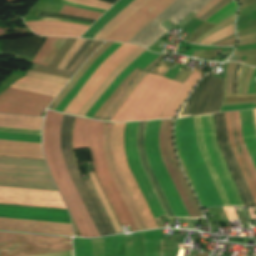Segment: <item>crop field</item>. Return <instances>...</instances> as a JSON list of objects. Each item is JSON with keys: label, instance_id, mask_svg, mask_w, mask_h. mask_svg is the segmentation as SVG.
I'll return each mask as SVG.
<instances>
[{"label": "crop field", "instance_id": "crop-field-53", "mask_svg": "<svg viewBox=\"0 0 256 256\" xmlns=\"http://www.w3.org/2000/svg\"><path fill=\"white\" fill-rule=\"evenodd\" d=\"M256 101H251V102H240V103H223V105H235V104H243V103H252Z\"/></svg>", "mask_w": 256, "mask_h": 256}, {"label": "crop field", "instance_id": "crop-field-44", "mask_svg": "<svg viewBox=\"0 0 256 256\" xmlns=\"http://www.w3.org/2000/svg\"><path fill=\"white\" fill-rule=\"evenodd\" d=\"M233 0H221L219 3H217L211 10H209L205 15H203L200 20L205 21L208 19L211 15H213L216 11L224 7L226 4L231 2Z\"/></svg>", "mask_w": 256, "mask_h": 256}, {"label": "crop field", "instance_id": "crop-field-34", "mask_svg": "<svg viewBox=\"0 0 256 256\" xmlns=\"http://www.w3.org/2000/svg\"><path fill=\"white\" fill-rule=\"evenodd\" d=\"M59 13L80 16V17H86V18H90V19H94V20H97L102 15L101 13L87 11V10L69 7V6H65V5H63V8Z\"/></svg>", "mask_w": 256, "mask_h": 256}, {"label": "crop field", "instance_id": "crop-field-55", "mask_svg": "<svg viewBox=\"0 0 256 256\" xmlns=\"http://www.w3.org/2000/svg\"><path fill=\"white\" fill-rule=\"evenodd\" d=\"M234 36V35H233ZM233 36H231V37H233ZM229 38V37H228ZM227 39V38H226ZM223 40H225V39H223ZM223 40H220V41H223ZM219 42V41H218ZM217 43V42H216ZM215 44V43H214ZM213 45V44H212Z\"/></svg>", "mask_w": 256, "mask_h": 256}, {"label": "crop field", "instance_id": "crop-field-4", "mask_svg": "<svg viewBox=\"0 0 256 256\" xmlns=\"http://www.w3.org/2000/svg\"><path fill=\"white\" fill-rule=\"evenodd\" d=\"M180 85V83L148 73L110 121L156 119Z\"/></svg>", "mask_w": 256, "mask_h": 256}, {"label": "crop field", "instance_id": "crop-field-10", "mask_svg": "<svg viewBox=\"0 0 256 256\" xmlns=\"http://www.w3.org/2000/svg\"><path fill=\"white\" fill-rule=\"evenodd\" d=\"M173 120H162L159 133V147L163 164L190 217L202 216L174 159L171 147V127Z\"/></svg>", "mask_w": 256, "mask_h": 256}, {"label": "crop field", "instance_id": "crop-field-37", "mask_svg": "<svg viewBox=\"0 0 256 256\" xmlns=\"http://www.w3.org/2000/svg\"><path fill=\"white\" fill-rule=\"evenodd\" d=\"M0 139L41 143V136H36V135L0 132Z\"/></svg>", "mask_w": 256, "mask_h": 256}, {"label": "crop field", "instance_id": "crop-field-21", "mask_svg": "<svg viewBox=\"0 0 256 256\" xmlns=\"http://www.w3.org/2000/svg\"><path fill=\"white\" fill-rule=\"evenodd\" d=\"M201 76H203V74L193 70L189 78L185 80L173 95L161 115L159 114L160 116L158 118H174L176 111L179 109Z\"/></svg>", "mask_w": 256, "mask_h": 256}, {"label": "crop field", "instance_id": "crop-field-5", "mask_svg": "<svg viewBox=\"0 0 256 256\" xmlns=\"http://www.w3.org/2000/svg\"><path fill=\"white\" fill-rule=\"evenodd\" d=\"M198 147L224 206H244L220 149L217 145L213 116L194 117Z\"/></svg>", "mask_w": 256, "mask_h": 256}, {"label": "crop field", "instance_id": "crop-field-22", "mask_svg": "<svg viewBox=\"0 0 256 256\" xmlns=\"http://www.w3.org/2000/svg\"><path fill=\"white\" fill-rule=\"evenodd\" d=\"M0 155L44 159L41 144L0 140Z\"/></svg>", "mask_w": 256, "mask_h": 256}, {"label": "crop field", "instance_id": "crop-field-38", "mask_svg": "<svg viewBox=\"0 0 256 256\" xmlns=\"http://www.w3.org/2000/svg\"><path fill=\"white\" fill-rule=\"evenodd\" d=\"M76 39L67 38L57 55L54 57L52 62L49 64L50 67L57 68L60 60L65 55V53L68 51V49L71 47V45L75 42Z\"/></svg>", "mask_w": 256, "mask_h": 256}, {"label": "crop field", "instance_id": "crop-field-20", "mask_svg": "<svg viewBox=\"0 0 256 256\" xmlns=\"http://www.w3.org/2000/svg\"><path fill=\"white\" fill-rule=\"evenodd\" d=\"M159 54H153L147 50L142 53L138 58H136L130 65H128L124 71L117 77V79L109 86V88L102 94V96L97 100V102L91 107L85 117L92 118L93 114L98 110V108L105 102V100L112 94V92L117 88L120 82L136 67L144 69L149 63H151Z\"/></svg>", "mask_w": 256, "mask_h": 256}, {"label": "crop field", "instance_id": "crop-field-45", "mask_svg": "<svg viewBox=\"0 0 256 256\" xmlns=\"http://www.w3.org/2000/svg\"><path fill=\"white\" fill-rule=\"evenodd\" d=\"M236 63H231L228 69V75L226 79V88H225V94H231V80H232V75L234 71Z\"/></svg>", "mask_w": 256, "mask_h": 256}, {"label": "crop field", "instance_id": "crop-field-27", "mask_svg": "<svg viewBox=\"0 0 256 256\" xmlns=\"http://www.w3.org/2000/svg\"><path fill=\"white\" fill-rule=\"evenodd\" d=\"M43 118L0 114V127L41 130Z\"/></svg>", "mask_w": 256, "mask_h": 256}, {"label": "crop field", "instance_id": "crop-field-7", "mask_svg": "<svg viewBox=\"0 0 256 256\" xmlns=\"http://www.w3.org/2000/svg\"><path fill=\"white\" fill-rule=\"evenodd\" d=\"M244 141L256 167V130L253 110L239 111ZM238 111L225 113L229 143L256 202V169L243 141Z\"/></svg>", "mask_w": 256, "mask_h": 256}, {"label": "crop field", "instance_id": "crop-field-46", "mask_svg": "<svg viewBox=\"0 0 256 256\" xmlns=\"http://www.w3.org/2000/svg\"><path fill=\"white\" fill-rule=\"evenodd\" d=\"M255 104L256 103L235 105V106H222L221 111H233V110H243V109L255 108Z\"/></svg>", "mask_w": 256, "mask_h": 256}, {"label": "crop field", "instance_id": "crop-field-31", "mask_svg": "<svg viewBox=\"0 0 256 256\" xmlns=\"http://www.w3.org/2000/svg\"><path fill=\"white\" fill-rule=\"evenodd\" d=\"M132 0H120L110 10H108L94 25L81 37L92 39L95 34L108 23L115 15L122 11Z\"/></svg>", "mask_w": 256, "mask_h": 256}, {"label": "crop field", "instance_id": "crop-field-24", "mask_svg": "<svg viewBox=\"0 0 256 256\" xmlns=\"http://www.w3.org/2000/svg\"><path fill=\"white\" fill-rule=\"evenodd\" d=\"M145 49L139 47L130 56H128L102 83L98 90L94 93L90 101L79 111L78 116L84 117L90 107L96 102V100L101 96V94L108 88V86L115 80V78L122 72V70L131 63L136 57H138Z\"/></svg>", "mask_w": 256, "mask_h": 256}, {"label": "crop field", "instance_id": "crop-field-9", "mask_svg": "<svg viewBox=\"0 0 256 256\" xmlns=\"http://www.w3.org/2000/svg\"><path fill=\"white\" fill-rule=\"evenodd\" d=\"M161 120L148 121L145 132V148L149 164L176 217H189L160 158L158 133Z\"/></svg>", "mask_w": 256, "mask_h": 256}, {"label": "crop field", "instance_id": "crop-field-35", "mask_svg": "<svg viewBox=\"0 0 256 256\" xmlns=\"http://www.w3.org/2000/svg\"><path fill=\"white\" fill-rule=\"evenodd\" d=\"M234 34V23L221 29L220 31L208 36L198 44L210 45L220 39L231 36Z\"/></svg>", "mask_w": 256, "mask_h": 256}, {"label": "crop field", "instance_id": "crop-field-33", "mask_svg": "<svg viewBox=\"0 0 256 256\" xmlns=\"http://www.w3.org/2000/svg\"><path fill=\"white\" fill-rule=\"evenodd\" d=\"M236 9H237V3L233 1L230 4H228L227 6H225L224 8H222L221 10H219L217 13H215L212 17H210L206 21L210 22V23L217 24L221 20L235 14Z\"/></svg>", "mask_w": 256, "mask_h": 256}, {"label": "crop field", "instance_id": "crop-field-28", "mask_svg": "<svg viewBox=\"0 0 256 256\" xmlns=\"http://www.w3.org/2000/svg\"><path fill=\"white\" fill-rule=\"evenodd\" d=\"M112 44L113 43L106 42L91 56V58L84 64V66L77 72V74L68 82V84L63 88V90L58 94V96L55 98V100L52 102L48 109L54 110V108L64 99V97L72 89L75 82L80 78V76L93 64L96 58Z\"/></svg>", "mask_w": 256, "mask_h": 256}, {"label": "crop field", "instance_id": "crop-field-17", "mask_svg": "<svg viewBox=\"0 0 256 256\" xmlns=\"http://www.w3.org/2000/svg\"><path fill=\"white\" fill-rule=\"evenodd\" d=\"M0 229L73 235L71 224L0 218Z\"/></svg>", "mask_w": 256, "mask_h": 256}, {"label": "crop field", "instance_id": "crop-field-19", "mask_svg": "<svg viewBox=\"0 0 256 256\" xmlns=\"http://www.w3.org/2000/svg\"><path fill=\"white\" fill-rule=\"evenodd\" d=\"M146 122H139L138 125V131H137V148H138V152H139V157H140V161H141V165L167 215V217H175L149 164H148V160H147V156H146V152H145V148H144V132H145V127H146Z\"/></svg>", "mask_w": 256, "mask_h": 256}, {"label": "crop field", "instance_id": "crop-field-15", "mask_svg": "<svg viewBox=\"0 0 256 256\" xmlns=\"http://www.w3.org/2000/svg\"><path fill=\"white\" fill-rule=\"evenodd\" d=\"M173 1L150 0L120 24L105 40L127 42Z\"/></svg>", "mask_w": 256, "mask_h": 256}, {"label": "crop field", "instance_id": "crop-field-25", "mask_svg": "<svg viewBox=\"0 0 256 256\" xmlns=\"http://www.w3.org/2000/svg\"><path fill=\"white\" fill-rule=\"evenodd\" d=\"M122 43H114L105 53H103L89 68V70L78 80L72 91L66 96V98L58 105L56 111L62 112L65 106L72 100V98L79 92L82 85L96 70V68L110 55L112 54Z\"/></svg>", "mask_w": 256, "mask_h": 256}, {"label": "crop field", "instance_id": "crop-field-13", "mask_svg": "<svg viewBox=\"0 0 256 256\" xmlns=\"http://www.w3.org/2000/svg\"><path fill=\"white\" fill-rule=\"evenodd\" d=\"M138 122H128L125 130V149L129 167L155 218L166 216L139 161L136 148Z\"/></svg>", "mask_w": 256, "mask_h": 256}, {"label": "crop field", "instance_id": "crop-field-8", "mask_svg": "<svg viewBox=\"0 0 256 256\" xmlns=\"http://www.w3.org/2000/svg\"><path fill=\"white\" fill-rule=\"evenodd\" d=\"M72 250L70 238L0 233V256H27Z\"/></svg>", "mask_w": 256, "mask_h": 256}, {"label": "crop field", "instance_id": "crop-field-39", "mask_svg": "<svg viewBox=\"0 0 256 256\" xmlns=\"http://www.w3.org/2000/svg\"><path fill=\"white\" fill-rule=\"evenodd\" d=\"M26 76L43 79V80H47V81H51V82H55V83H59V84H63V85H65V83L68 81L67 78L46 75V74H41V73H36V72H31V71H28Z\"/></svg>", "mask_w": 256, "mask_h": 256}, {"label": "crop field", "instance_id": "crop-field-47", "mask_svg": "<svg viewBox=\"0 0 256 256\" xmlns=\"http://www.w3.org/2000/svg\"><path fill=\"white\" fill-rule=\"evenodd\" d=\"M219 1L220 0H211L194 17L199 19L203 14H205L209 9H211Z\"/></svg>", "mask_w": 256, "mask_h": 256}, {"label": "crop field", "instance_id": "crop-field-36", "mask_svg": "<svg viewBox=\"0 0 256 256\" xmlns=\"http://www.w3.org/2000/svg\"><path fill=\"white\" fill-rule=\"evenodd\" d=\"M138 70L135 69L132 73H130L119 85V87L114 91V93L106 100V102L99 108V110L95 113L93 116V119H99L101 114L105 111V109L110 105V103L115 99V97L119 94V92L122 90V88L125 86V84L133 77V75Z\"/></svg>", "mask_w": 256, "mask_h": 256}, {"label": "crop field", "instance_id": "crop-field-23", "mask_svg": "<svg viewBox=\"0 0 256 256\" xmlns=\"http://www.w3.org/2000/svg\"><path fill=\"white\" fill-rule=\"evenodd\" d=\"M10 87L55 97L63 86L38 79L24 77L16 81Z\"/></svg>", "mask_w": 256, "mask_h": 256}, {"label": "crop field", "instance_id": "crop-field-11", "mask_svg": "<svg viewBox=\"0 0 256 256\" xmlns=\"http://www.w3.org/2000/svg\"><path fill=\"white\" fill-rule=\"evenodd\" d=\"M138 46L123 43L111 56H109L87 80L80 92L64 109L63 113L76 115L83 105L92 97L96 89L106 77ZM98 90V89H97Z\"/></svg>", "mask_w": 256, "mask_h": 256}, {"label": "crop field", "instance_id": "crop-field-12", "mask_svg": "<svg viewBox=\"0 0 256 256\" xmlns=\"http://www.w3.org/2000/svg\"><path fill=\"white\" fill-rule=\"evenodd\" d=\"M125 123H115L113 131V150L117 169L147 227V229L158 228L126 163L123 149V131Z\"/></svg>", "mask_w": 256, "mask_h": 256}, {"label": "crop field", "instance_id": "crop-field-3", "mask_svg": "<svg viewBox=\"0 0 256 256\" xmlns=\"http://www.w3.org/2000/svg\"><path fill=\"white\" fill-rule=\"evenodd\" d=\"M104 123L76 117L73 129V150L90 148L95 172L121 224H130L133 231H138L106 166L102 140Z\"/></svg>", "mask_w": 256, "mask_h": 256}, {"label": "crop field", "instance_id": "crop-field-18", "mask_svg": "<svg viewBox=\"0 0 256 256\" xmlns=\"http://www.w3.org/2000/svg\"><path fill=\"white\" fill-rule=\"evenodd\" d=\"M26 25L35 33L45 36L80 37L89 26L62 22H26Z\"/></svg>", "mask_w": 256, "mask_h": 256}, {"label": "crop field", "instance_id": "crop-field-29", "mask_svg": "<svg viewBox=\"0 0 256 256\" xmlns=\"http://www.w3.org/2000/svg\"><path fill=\"white\" fill-rule=\"evenodd\" d=\"M103 42L96 41L92 47L78 60V62L75 64V66L72 68L70 72L64 71V70H59V69H54L50 67H45L41 65H35L32 64L30 70H35L39 72H44V73H49L53 75H58V76H63L67 78H71L74 73L81 67V65L91 56V54L102 44Z\"/></svg>", "mask_w": 256, "mask_h": 256}, {"label": "crop field", "instance_id": "crop-field-49", "mask_svg": "<svg viewBox=\"0 0 256 256\" xmlns=\"http://www.w3.org/2000/svg\"><path fill=\"white\" fill-rule=\"evenodd\" d=\"M228 220L238 219L233 208H223Z\"/></svg>", "mask_w": 256, "mask_h": 256}, {"label": "crop field", "instance_id": "crop-field-30", "mask_svg": "<svg viewBox=\"0 0 256 256\" xmlns=\"http://www.w3.org/2000/svg\"><path fill=\"white\" fill-rule=\"evenodd\" d=\"M65 40L66 38L48 37L32 62L48 66L51 59Z\"/></svg>", "mask_w": 256, "mask_h": 256}, {"label": "crop field", "instance_id": "crop-field-26", "mask_svg": "<svg viewBox=\"0 0 256 256\" xmlns=\"http://www.w3.org/2000/svg\"><path fill=\"white\" fill-rule=\"evenodd\" d=\"M149 0H134L121 13L103 27L93 39L104 40L120 23H122L133 12L147 3Z\"/></svg>", "mask_w": 256, "mask_h": 256}, {"label": "crop field", "instance_id": "crop-field-54", "mask_svg": "<svg viewBox=\"0 0 256 256\" xmlns=\"http://www.w3.org/2000/svg\"><path fill=\"white\" fill-rule=\"evenodd\" d=\"M171 227H176L172 219H167Z\"/></svg>", "mask_w": 256, "mask_h": 256}, {"label": "crop field", "instance_id": "crop-field-52", "mask_svg": "<svg viewBox=\"0 0 256 256\" xmlns=\"http://www.w3.org/2000/svg\"><path fill=\"white\" fill-rule=\"evenodd\" d=\"M234 42H235V37H233V38H231V39H228V40H226V41H223V42L217 44V46H219V45H225V44H230V43H234Z\"/></svg>", "mask_w": 256, "mask_h": 256}, {"label": "crop field", "instance_id": "crop-field-1", "mask_svg": "<svg viewBox=\"0 0 256 256\" xmlns=\"http://www.w3.org/2000/svg\"><path fill=\"white\" fill-rule=\"evenodd\" d=\"M0 186L57 191L44 161L0 157ZM0 187V203L66 209L58 192Z\"/></svg>", "mask_w": 256, "mask_h": 256}, {"label": "crop field", "instance_id": "crop-field-40", "mask_svg": "<svg viewBox=\"0 0 256 256\" xmlns=\"http://www.w3.org/2000/svg\"><path fill=\"white\" fill-rule=\"evenodd\" d=\"M146 72H144L135 83L129 88V90L124 94V96L119 100V102L114 106V108L110 111L105 121H109L115 111L119 108V106L123 103V101L128 97V95L134 90V88L139 84L142 78L145 76Z\"/></svg>", "mask_w": 256, "mask_h": 256}, {"label": "crop field", "instance_id": "crop-field-14", "mask_svg": "<svg viewBox=\"0 0 256 256\" xmlns=\"http://www.w3.org/2000/svg\"><path fill=\"white\" fill-rule=\"evenodd\" d=\"M52 99L8 88L0 94V112L40 116Z\"/></svg>", "mask_w": 256, "mask_h": 256}, {"label": "crop field", "instance_id": "crop-field-41", "mask_svg": "<svg viewBox=\"0 0 256 256\" xmlns=\"http://www.w3.org/2000/svg\"><path fill=\"white\" fill-rule=\"evenodd\" d=\"M143 71H139L123 88V90L120 92V94L117 96V98L112 102V104L107 108V110L103 113L100 120H104L106 115L109 113V111L112 109V107L117 103V101L122 97V95L127 91V89L134 83V81L140 76V74Z\"/></svg>", "mask_w": 256, "mask_h": 256}, {"label": "crop field", "instance_id": "crop-field-6", "mask_svg": "<svg viewBox=\"0 0 256 256\" xmlns=\"http://www.w3.org/2000/svg\"><path fill=\"white\" fill-rule=\"evenodd\" d=\"M176 125H177V122H176ZM175 141H176V127H175ZM177 141H178V146L181 150L183 158L186 162V165L188 167V170L191 174V177L194 181V184L196 186V189L199 193V196L201 198V201L204 207L223 206L217 194V191L214 187V184L211 180L209 172L206 168V165L203 161V158L200 154V151L197 147L193 117L178 119ZM177 141H176V146H177ZM179 148H178V151L180 153ZM182 155H181V158H182ZM184 160H183V163L185 165ZM186 165H185V168L187 170ZM189 172H188V175L190 177ZM191 177H190V180L195 189V186L193 184ZM196 189H195V192L200 201V198L198 196Z\"/></svg>", "mask_w": 256, "mask_h": 256}, {"label": "crop field", "instance_id": "crop-field-51", "mask_svg": "<svg viewBox=\"0 0 256 256\" xmlns=\"http://www.w3.org/2000/svg\"><path fill=\"white\" fill-rule=\"evenodd\" d=\"M164 56L161 55L160 57H158L156 60H154L151 64H149L144 70L147 71L149 68H151L155 63H157L161 58H163Z\"/></svg>", "mask_w": 256, "mask_h": 256}, {"label": "crop field", "instance_id": "crop-field-48", "mask_svg": "<svg viewBox=\"0 0 256 256\" xmlns=\"http://www.w3.org/2000/svg\"><path fill=\"white\" fill-rule=\"evenodd\" d=\"M41 20H61V21H68V22H74V23H79V24L91 25V23L74 21V20H67V19H59V18H34L30 21H41Z\"/></svg>", "mask_w": 256, "mask_h": 256}, {"label": "crop field", "instance_id": "crop-field-43", "mask_svg": "<svg viewBox=\"0 0 256 256\" xmlns=\"http://www.w3.org/2000/svg\"><path fill=\"white\" fill-rule=\"evenodd\" d=\"M67 1L84 4V5H88V6H93V7H97V8H101V9H105V10H107L111 7V4L100 2L97 0H67Z\"/></svg>", "mask_w": 256, "mask_h": 256}, {"label": "crop field", "instance_id": "crop-field-16", "mask_svg": "<svg viewBox=\"0 0 256 256\" xmlns=\"http://www.w3.org/2000/svg\"><path fill=\"white\" fill-rule=\"evenodd\" d=\"M0 217L71 223L67 210L0 204Z\"/></svg>", "mask_w": 256, "mask_h": 256}, {"label": "crop field", "instance_id": "crop-field-2", "mask_svg": "<svg viewBox=\"0 0 256 256\" xmlns=\"http://www.w3.org/2000/svg\"><path fill=\"white\" fill-rule=\"evenodd\" d=\"M62 117V114L47 111L43 128V153L81 235L99 236L65 168L59 140Z\"/></svg>", "mask_w": 256, "mask_h": 256}, {"label": "crop field", "instance_id": "crop-field-32", "mask_svg": "<svg viewBox=\"0 0 256 256\" xmlns=\"http://www.w3.org/2000/svg\"><path fill=\"white\" fill-rule=\"evenodd\" d=\"M87 174H88V176H89V178H90V180H91V182H92V184H93V186H94V188H95V190H96V192H97V194H98V196H99V198H100V200H101V202H102V204H103V206H104V208H105V210H106V212H107V214H108V216H109V218H110V220H111V222H112V224H113V226L116 230V232L117 233H122L121 229L119 227V224H118V222H117V220H116V218H115V216H114V214H113V212H112V210H111V208H110V206H109V204H108V202H107V200H106V198H105V196H104V194H103V192H102V190H101V188H100V186H99V184H98V182H97V180H96V178L93 174V172H89Z\"/></svg>", "mask_w": 256, "mask_h": 256}, {"label": "crop field", "instance_id": "crop-field-50", "mask_svg": "<svg viewBox=\"0 0 256 256\" xmlns=\"http://www.w3.org/2000/svg\"><path fill=\"white\" fill-rule=\"evenodd\" d=\"M36 256H73V255H72V251H68V252H60V253L36 255Z\"/></svg>", "mask_w": 256, "mask_h": 256}, {"label": "crop field", "instance_id": "crop-field-42", "mask_svg": "<svg viewBox=\"0 0 256 256\" xmlns=\"http://www.w3.org/2000/svg\"><path fill=\"white\" fill-rule=\"evenodd\" d=\"M86 40L77 39L74 45L70 48L64 58L61 60L58 68L63 69L75 51L85 42Z\"/></svg>", "mask_w": 256, "mask_h": 256}, {"label": "crop field", "instance_id": "crop-field-56", "mask_svg": "<svg viewBox=\"0 0 256 256\" xmlns=\"http://www.w3.org/2000/svg\"><path fill=\"white\" fill-rule=\"evenodd\" d=\"M254 113H255V120H256V109L254 110Z\"/></svg>", "mask_w": 256, "mask_h": 256}]
</instances>
